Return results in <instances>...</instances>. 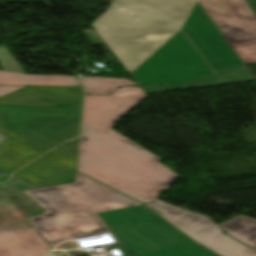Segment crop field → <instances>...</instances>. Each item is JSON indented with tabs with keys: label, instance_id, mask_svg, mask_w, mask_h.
Returning <instances> with one entry per match:
<instances>
[{
	"label": "crop field",
	"instance_id": "24",
	"mask_svg": "<svg viewBox=\"0 0 256 256\" xmlns=\"http://www.w3.org/2000/svg\"><path fill=\"white\" fill-rule=\"evenodd\" d=\"M45 256H57V255L55 254V252H50V253H48V254L45 255Z\"/></svg>",
	"mask_w": 256,
	"mask_h": 256
},
{
	"label": "crop field",
	"instance_id": "26",
	"mask_svg": "<svg viewBox=\"0 0 256 256\" xmlns=\"http://www.w3.org/2000/svg\"><path fill=\"white\" fill-rule=\"evenodd\" d=\"M131 255V254H130ZM131 256H134V255H131Z\"/></svg>",
	"mask_w": 256,
	"mask_h": 256
},
{
	"label": "crop field",
	"instance_id": "21",
	"mask_svg": "<svg viewBox=\"0 0 256 256\" xmlns=\"http://www.w3.org/2000/svg\"><path fill=\"white\" fill-rule=\"evenodd\" d=\"M24 86H9V85H0V96L15 91Z\"/></svg>",
	"mask_w": 256,
	"mask_h": 256
},
{
	"label": "crop field",
	"instance_id": "10",
	"mask_svg": "<svg viewBox=\"0 0 256 256\" xmlns=\"http://www.w3.org/2000/svg\"><path fill=\"white\" fill-rule=\"evenodd\" d=\"M0 63L4 70L0 71V84L79 86L75 77L26 75L15 59L9 55L4 44L0 46Z\"/></svg>",
	"mask_w": 256,
	"mask_h": 256
},
{
	"label": "crop field",
	"instance_id": "17",
	"mask_svg": "<svg viewBox=\"0 0 256 256\" xmlns=\"http://www.w3.org/2000/svg\"><path fill=\"white\" fill-rule=\"evenodd\" d=\"M145 256H217L187 238Z\"/></svg>",
	"mask_w": 256,
	"mask_h": 256
},
{
	"label": "crop field",
	"instance_id": "22",
	"mask_svg": "<svg viewBox=\"0 0 256 256\" xmlns=\"http://www.w3.org/2000/svg\"><path fill=\"white\" fill-rule=\"evenodd\" d=\"M241 60L246 63L256 62V54L247 55V56H241Z\"/></svg>",
	"mask_w": 256,
	"mask_h": 256
},
{
	"label": "crop field",
	"instance_id": "11",
	"mask_svg": "<svg viewBox=\"0 0 256 256\" xmlns=\"http://www.w3.org/2000/svg\"><path fill=\"white\" fill-rule=\"evenodd\" d=\"M37 233L35 229L0 232V256L43 255L50 250V247Z\"/></svg>",
	"mask_w": 256,
	"mask_h": 256
},
{
	"label": "crop field",
	"instance_id": "8",
	"mask_svg": "<svg viewBox=\"0 0 256 256\" xmlns=\"http://www.w3.org/2000/svg\"><path fill=\"white\" fill-rule=\"evenodd\" d=\"M81 87L27 86L0 97V104L81 107Z\"/></svg>",
	"mask_w": 256,
	"mask_h": 256
},
{
	"label": "crop field",
	"instance_id": "13",
	"mask_svg": "<svg viewBox=\"0 0 256 256\" xmlns=\"http://www.w3.org/2000/svg\"><path fill=\"white\" fill-rule=\"evenodd\" d=\"M191 238L220 256H256L255 252L232 240L217 227L200 232Z\"/></svg>",
	"mask_w": 256,
	"mask_h": 256
},
{
	"label": "crop field",
	"instance_id": "6",
	"mask_svg": "<svg viewBox=\"0 0 256 256\" xmlns=\"http://www.w3.org/2000/svg\"><path fill=\"white\" fill-rule=\"evenodd\" d=\"M99 215L134 255L143 256L187 238L144 205Z\"/></svg>",
	"mask_w": 256,
	"mask_h": 256
},
{
	"label": "crop field",
	"instance_id": "15",
	"mask_svg": "<svg viewBox=\"0 0 256 256\" xmlns=\"http://www.w3.org/2000/svg\"><path fill=\"white\" fill-rule=\"evenodd\" d=\"M3 189L25 214V216L31 217L35 215L46 214L45 210L34 202L23 191L27 189H33L32 186L24 183L21 180H17L8 185L3 186Z\"/></svg>",
	"mask_w": 256,
	"mask_h": 256
},
{
	"label": "crop field",
	"instance_id": "5",
	"mask_svg": "<svg viewBox=\"0 0 256 256\" xmlns=\"http://www.w3.org/2000/svg\"><path fill=\"white\" fill-rule=\"evenodd\" d=\"M81 109L0 105V133L43 154L79 135Z\"/></svg>",
	"mask_w": 256,
	"mask_h": 256
},
{
	"label": "crop field",
	"instance_id": "9",
	"mask_svg": "<svg viewBox=\"0 0 256 256\" xmlns=\"http://www.w3.org/2000/svg\"><path fill=\"white\" fill-rule=\"evenodd\" d=\"M13 176L40 188L69 183L75 179V171L44 156Z\"/></svg>",
	"mask_w": 256,
	"mask_h": 256
},
{
	"label": "crop field",
	"instance_id": "7",
	"mask_svg": "<svg viewBox=\"0 0 256 256\" xmlns=\"http://www.w3.org/2000/svg\"><path fill=\"white\" fill-rule=\"evenodd\" d=\"M238 56L256 53V0H198Z\"/></svg>",
	"mask_w": 256,
	"mask_h": 256
},
{
	"label": "crop field",
	"instance_id": "12",
	"mask_svg": "<svg viewBox=\"0 0 256 256\" xmlns=\"http://www.w3.org/2000/svg\"><path fill=\"white\" fill-rule=\"evenodd\" d=\"M146 206L189 236L215 226L203 215L174 207L160 199Z\"/></svg>",
	"mask_w": 256,
	"mask_h": 256
},
{
	"label": "crop field",
	"instance_id": "2",
	"mask_svg": "<svg viewBox=\"0 0 256 256\" xmlns=\"http://www.w3.org/2000/svg\"><path fill=\"white\" fill-rule=\"evenodd\" d=\"M216 26L196 2L175 33L132 71L139 85L178 86L191 79L242 65Z\"/></svg>",
	"mask_w": 256,
	"mask_h": 256
},
{
	"label": "crop field",
	"instance_id": "23",
	"mask_svg": "<svg viewBox=\"0 0 256 256\" xmlns=\"http://www.w3.org/2000/svg\"><path fill=\"white\" fill-rule=\"evenodd\" d=\"M7 138H8V137H6V136L0 134V143L3 142L4 140H6ZM0 151H3V148L1 147V145H0Z\"/></svg>",
	"mask_w": 256,
	"mask_h": 256
},
{
	"label": "crop field",
	"instance_id": "1",
	"mask_svg": "<svg viewBox=\"0 0 256 256\" xmlns=\"http://www.w3.org/2000/svg\"><path fill=\"white\" fill-rule=\"evenodd\" d=\"M147 96L139 87L112 95H85L77 170L144 203L157 198L179 177L161 160L116 133L113 125Z\"/></svg>",
	"mask_w": 256,
	"mask_h": 256
},
{
	"label": "crop field",
	"instance_id": "25",
	"mask_svg": "<svg viewBox=\"0 0 256 256\" xmlns=\"http://www.w3.org/2000/svg\"><path fill=\"white\" fill-rule=\"evenodd\" d=\"M11 1L18 2V1H23V0H11Z\"/></svg>",
	"mask_w": 256,
	"mask_h": 256
},
{
	"label": "crop field",
	"instance_id": "20",
	"mask_svg": "<svg viewBox=\"0 0 256 256\" xmlns=\"http://www.w3.org/2000/svg\"><path fill=\"white\" fill-rule=\"evenodd\" d=\"M82 31L88 37V39L92 42L93 45L104 43L101 40V38L98 36V34L95 32V30L93 31L92 29H86Z\"/></svg>",
	"mask_w": 256,
	"mask_h": 256
},
{
	"label": "crop field",
	"instance_id": "18",
	"mask_svg": "<svg viewBox=\"0 0 256 256\" xmlns=\"http://www.w3.org/2000/svg\"><path fill=\"white\" fill-rule=\"evenodd\" d=\"M79 79L86 93L111 94L115 88L120 86H137L128 79L98 77H79Z\"/></svg>",
	"mask_w": 256,
	"mask_h": 256
},
{
	"label": "crop field",
	"instance_id": "4",
	"mask_svg": "<svg viewBox=\"0 0 256 256\" xmlns=\"http://www.w3.org/2000/svg\"><path fill=\"white\" fill-rule=\"evenodd\" d=\"M24 192L47 211L30 219L52 247L75 237L109 232L97 213L141 205L77 172L75 183Z\"/></svg>",
	"mask_w": 256,
	"mask_h": 256
},
{
	"label": "crop field",
	"instance_id": "16",
	"mask_svg": "<svg viewBox=\"0 0 256 256\" xmlns=\"http://www.w3.org/2000/svg\"><path fill=\"white\" fill-rule=\"evenodd\" d=\"M230 236L256 250V221L238 217L220 226Z\"/></svg>",
	"mask_w": 256,
	"mask_h": 256
},
{
	"label": "crop field",
	"instance_id": "14",
	"mask_svg": "<svg viewBox=\"0 0 256 256\" xmlns=\"http://www.w3.org/2000/svg\"><path fill=\"white\" fill-rule=\"evenodd\" d=\"M249 80H254V77L252 76V74L250 73L246 65H243V66L225 70L223 72H220L218 74L212 75L207 78L190 82L180 87H168V86H140V87L146 94H149V93L164 92V91H171V90H178V89L235 83V82H242V81H249Z\"/></svg>",
	"mask_w": 256,
	"mask_h": 256
},
{
	"label": "crop field",
	"instance_id": "3",
	"mask_svg": "<svg viewBox=\"0 0 256 256\" xmlns=\"http://www.w3.org/2000/svg\"><path fill=\"white\" fill-rule=\"evenodd\" d=\"M196 0H114L92 26L132 71L178 31ZM135 20L132 25L122 23Z\"/></svg>",
	"mask_w": 256,
	"mask_h": 256
},
{
	"label": "crop field",
	"instance_id": "19",
	"mask_svg": "<svg viewBox=\"0 0 256 256\" xmlns=\"http://www.w3.org/2000/svg\"><path fill=\"white\" fill-rule=\"evenodd\" d=\"M75 139L73 141H69L64 143L63 145L53 149L45 156L73 169L76 170L77 166V155L78 149L75 146Z\"/></svg>",
	"mask_w": 256,
	"mask_h": 256
}]
</instances>
